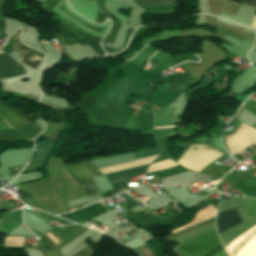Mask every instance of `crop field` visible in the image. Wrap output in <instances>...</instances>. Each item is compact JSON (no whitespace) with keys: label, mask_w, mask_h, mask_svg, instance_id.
<instances>
[{"label":"crop field","mask_w":256,"mask_h":256,"mask_svg":"<svg viewBox=\"0 0 256 256\" xmlns=\"http://www.w3.org/2000/svg\"><path fill=\"white\" fill-rule=\"evenodd\" d=\"M220 244L216 231H209L174 248L177 256H203Z\"/></svg>","instance_id":"crop-field-1"},{"label":"crop field","mask_w":256,"mask_h":256,"mask_svg":"<svg viewBox=\"0 0 256 256\" xmlns=\"http://www.w3.org/2000/svg\"><path fill=\"white\" fill-rule=\"evenodd\" d=\"M228 150L235 154L246 147L256 145V129L241 123L235 134L225 137Z\"/></svg>","instance_id":"crop-field-2"},{"label":"crop field","mask_w":256,"mask_h":256,"mask_svg":"<svg viewBox=\"0 0 256 256\" xmlns=\"http://www.w3.org/2000/svg\"><path fill=\"white\" fill-rule=\"evenodd\" d=\"M242 222L243 221L236 207L226 210L224 212H221L217 215V218H216V226H217L218 234Z\"/></svg>","instance_id":"crop-field-3"},{"label":"crop field","mask_w":256,"mask_h":256,"mask_svg":"<svg viewBox=\"0 0 256 256\" xmlns=\"http://www.w3.org/2000/svg\"><path fill=\"white\" fill-rule=\"evenodd\" d=\"M104 212H106V210L99 203H97L95 205L89 206L78 211L71 212L69 214L60 215V217H63L76 223H80L92 219Z\"/></svg>","instance_id":"crop-field-4"},{"label":"crop field","mask_w":256,"mask_h":256,"mask_svg":"<svg viewBox=\"0 0 256 256\" xmlns=\"http://www.w3.org/2000/svg\"><path fill=\"white\" fill-rule=\"evenodd\" d=\"M2 53V51H0ZM24 74V69L5 53L0 54V78Z\"/></svg>","instance_id":"crop-field-5"},{"label":"crop field","mask_w":256,"mask_h":256,"mask_svg":"<svg viewBox=\"0 0 256 256\" xmlns=\"http://www.w3.org/2000/svg\"><path fill=\"white\" fill-rule=\"evenodd\" d=\"M66 166L72 171L77 179L102 175L89 161Z\"/></svg>","instance_id":"crop-field-6"},{"label":"crop field","mask_w":256,"mask_h":256,"mask_svg":"<svg viewBox=\"0 0 256 256\" xmlns=\"http://www.w3.org/2000/svg\"><path fill=\"white\" fill-rule=\"evenodd\" d=\"M0 114L4 118H6L11 124H13L17 129L29 121L19 112L11 109L1 101H0Z\"/></svg>","instance_id":"crop-field-7"},{"label":"crop field","mask_w":256,"mask_h":256,"mask_svg":"<svg viewBox=\"0 0 256 256\" xmlns=\"http://www.w3.org/2000/svg\"><path fill=\"white\" fill-rule=\"evenodd\" d=\"M230 256H256V231L240 244Z\"/></svg>","instance_id":"crop-field-8"},{"label":"crop field","mask_w":256,"mask_h":256,"mask_svg":"<svg viewBox=\"0 0 256 256\" xmlns=\"http://www.w3.org/2000/svg\"><path fill=\"white\" fill-rule=\"evenodd\" d=\"M175 108H165L154 114L153 126H169L172 125V116Z\"/></svg>","instance_id":"crop-field-9"},{"label":"crop field","mask_w":256,"mask_h":256,"mask_svg":"<svg viewBox=\"0 0 256 256\" xmlns=\"http://www.w3.org/2000/svg\"><path fill=\"white\" fill-rule=\"evenodd\" d=\"M215 215H216V209H214V208L211 207V206H208L206 209H204V210L198 212L197 215H196V217H195V219H194L191 223L186 224V225H184V226H182V227H180V228H178V229L172 231V233H175V232H177V231H180V230H182V229H184V228H187V227H189V226H191V225L200 223V222H202V221L208 220V219L214 217Z\"/></svg>","instance_id":"crop-field-10"},{"label":"crop field","mask_w":256,"mask_h":256,"mask_svg":"<svg viewBox=\"0 0 256 256\" xmlns=\"http://www.w3.org/2000/svg\"><path fill=\"white\" fill-rule=\"evenodd\" d=\"M148 166L149 165L142 166V167L135 168V169L124 170V171L108 174V175H105V176L110 181L130 177V176H135V175L143 174Z\"/></svg>","instance_id":"crop-field-11"},{"label":"crop field","mask_w":256,"mask_h":256,"mask_svg":"<svg viewBox=\"0 0 256 256\" xmlns=\"http://www.w3.org/2000/svg\"><path fill=\"white\" fill-rule=\"evenodd\" d=\"M52 147L51 140H45L35 145V157L33 160L45 158ZM32 160V161H33Z\"/></svg>","instance_id":"crop-field-12"},{"label":"crop field","mask_w":256,"mask_h":256,"mask_svg":"<svg viewBox=\"0 0 256 256\" xmlns=\"http://www.w3.org/2000/svg\"><path fill=\"white\" fill-rule=\"evenodd\" d=\"M18 59L21 60L23 63L29 65L30 67L34 68V69L36 68V66L42 60L39 57L32 54L31 52H26L25 54H23Z\"/></svg>","instance_id":"crop-field-13"},{"label":"crop field","mask_w":256,"mask_h":256,"mask_svg":"<svg viewBox=\"0 0 256 256\" xmlns=\"http://www.w3.org/2000/svg\"><path fill=\"white\" fill-rule=\"evenodd\" d=\"M256 230V225L253 226L251 229H249L247 232H245L243 235L238 237L236 240L228 244V246L225 248L226 251L231 254V252L244 240L246 239L251 233H253Z\"/></svg>","instance_id":"crop-field-14"},{"label":"crop field","mask_w":256,"mask_h":256,"mask_svg":"<svg viewBox=\"0 0 256 256\" xmlns=\"http://www.w3.org/2000/svg\"><path fill=\"white\" fill-rule=\"evenodd\" d=\"M112 184H113L115 190L113 192L102 194L101 195L102 199L113 196V195H116V194H119V193H122V192L128 190L124 179L120 180V181L113 182Z\"/></svg>","instance_id":"crop-field-15"},{"label":"crop field","mask_w":256,"mask_h":256,"mask_svg":"<svg viewBox=\"0 0 256 256\" xmlns=\"http://www.w3.org/2000/svg\"><path fill=\"white\" fill-rule=\"evenodd\" d=\"M78 182L81 184V186L84 188L88 195L95 196L100 194L91 178L79 180Z\"/></svg>","instance_id":"crop-field-16"},{"label":"crop field","mask_w":256,"mask_h":256,"mask_svg":"<svg viewBox=\"0 0 256 256\" xmlns=\"http://www.w3.org/2000/svg\"><path fill=\"white\" fill-rule=\"evenodd\" d=\"M178 164H176L174 161H172L171 159L166 160V161H162V162H158L156 164H153L149 167L148 172H155V171H159V170H163V169H167V168H171L174 166H177Z\"/></svg>","instance_id":"crop-field-17"},{"label":"crop field","mask_w":256,"mask_h":256,"mask_svg":"<svg viewBox=\"0 0 256 256\" xmlns=\"http://www.w3.org/2000/svg\"><path fill=\"white\" fill-rule=\"evenodd\" d=\"M244 218L256 220V200L248 198Z\"/></svg>","instance_id":"crop-field-18"},{"label":"crop field","mask_w":256,"mask_h":256,"mask_svg":"<svg viewBox=\"0 0 256 256\" xmlns=\"http://www.w3.org/2000/svg\"><path fill=\"white\" fill-rule=\"evenodd\" d=\"M151 129V113L142 111V130Z\"/></svg>","instance_id":"crop-field-19"},{"label":"crop field","mask_w":256,"mask_h":256,"mask_svg":"<svg viewBox=\"0 0 256 256\" xmlns=\"http://www.w3.org/2000/svg\"><path fill=\"white\" fill-rule=\"evenodd\" d=\"M4 220H7V221H22L21 210L10 213L9 215L6 216V218Z\"/></svg>","instance_id":"crop-field-20"},{"label":"crop field","mask_w":256,"mask_h":256,"mask_svg":"<svg viewBox=\"0 0 256 256\" xmlns=\"http://www.w3.org/2000/svg\"><path fill=\"white\" fill-rule=\"evenodd\" d=\"M133 1L156 2V3H170V2H176L175 0H133Z\"/></svg>","instance_id":"crop-field-21"},{"label":"crop field","mask_w":256,"mask_h":256,"mask_svg":"<svg viewBox=\"0 0 256 256\" xmlns=\"http://www.w3.org/2000/svg\"><path fill=\"white\" fill-rule=\"evenodd\" d=\"M222 248L221 244L218 245L217 247H215L214 249H212L210 252H208L207 254H205L204 256H213L214 254H216L218 251H220Z\"/></svg>","instance_id":"crop-field-22"},{"label":"crop field","mask_w":256,"mask_h":256,"mask_svg":"<svg viewBox=\"0 0 256 256\" xmlns=\"http://www.w3.org/2000/svg\"><path fill=\"white\" fill-rule=\"evenodd\" d=\"M11 128L5 121L4 119L0 116V129H7Z\"/></svg>","instance_id":"crop-field-23"},{"label":"crop field","mask_w":256,"mask_h":256,"mask_svg":"<svg viewBox=\"0 0 256 256\" xmlns=\"http://www.w3.org/2000/svg\"><path fill=\"white\" fill-rule=\"evenodd\" d=\"M42 254H43V256H60L59 253L57 252V250L44 252Z\"/></svg>","instance_id":"crop-field-24"},{"label":"crop field","mask_w":256,"mask_h":256,"mask_svg":"<svg viewBox=\"0 0 256 256\" xmlns=\"http://www.w3.org/2000/svg\"><path fill=\"white\" fill-rule=\"evenodd\" d=\"M241 2H244L252 7H256V0H239Z\"/></svg>","instance_id":"crop-field-25"},{"label":"crop field","mask_w":256,"mask_h":256,"mask_svg":"<svg viewBox=\"0 0 256 256\" xmlns=\"http://www.w3.org/2000/svg\"><path fill=\"white\" fill-rule=\"evenodd\" d=\"M171 127H175V126H171ZM159 128H170V127H159ZM159 128H154V129H159ZM175 128H170V129H159V130H154L155 133H158V132H165V131H171V130H174Z\"/></svg>","instance_id":"crop-field-26"},{"label":"crop field","mask_w":256,"mask_h":256,"mask_svg":"<svg viewBox=\"0 0 256 256\" xmlns=\"http://www.w3.org/2000/svg\"><path fill=\"white\" fill-rule=\"evenodd\" d=\"M253 16H256V8L254 9V15ZM251 26L256 28V17H253V22H252Z\"/></svg>","instance_id":"crop-field-27"},{"label":"crop field","mask_w":256,"mask_h":256,"mask_svg":"<svg viewBox=\"0 0 256 256\" xmlns=\"http://www.w3.org/2000/svg\"><path fill=\"white\" fill-rule=\"evenodd\" d=\"M214 256H228L227 254H226V252L224 251V249L223 250H221L220 252H218L216 255H214Z\"/></svg>","instance_id":"crop-field-28"},{"label":"crop field","mask_w":256,"mask_h":256,"mask_svg":"<svg viewBox=\"0 0 256 256\" xmlns=\"http://www.w3.org/2000/svg\"><path fill=\"white\" fill-rule=\"evenodd\" d=\"M135 129H139V117H135Z\"/></svg>","instance_id":"crop-field-29"},{"label":"crop field","mask_w":256,"mask_h":256,"mask_svg":"<svg viewBox=\"0 0 256 256\" xmlns=\"http://www.w3.org/2000/svg\"><path fill=\"white\" fill-rule=\"evenodd\" d=\"M253 165H256V161L253 163Z\"/></svg>","instance_id":"crop-field-30"},{"label":"crop field","mask_w":256,"mask_h":256,"mask_svg":"<svg viewBox=\"0 0 256 256\" xmlns=\"http://www.w3.org/2000/svg\"><path fill=\"white\" fill-rule=\"evenodd\" d=\"M206 201V200H205Z\"/></svg>","instance_id":"crop-field-31"}]
</instances>
